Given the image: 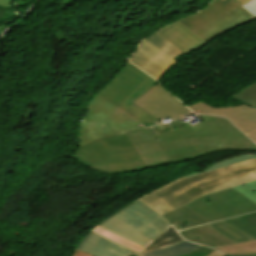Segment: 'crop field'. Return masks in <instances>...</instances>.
<instances>
[{"instance_id":"1","label":"crop field","mask_w":256,"mask_h":256,"mask_svg":"<svg viewBox=\"0 0 256 256\" xmlns=\"http://www.w3.org/2000/svg\"><path fill=\"white\" fill-rule=\"evenodd\" d=\"M200 116L203 121L193 127L186 124L157 136L152 130L137 129L105 137L78 148L72 158L101 172L121 173L224 149L256 147L226 119Z\"/></svg>"},{"instance_id":"2","label":"crop field","mask_w":256,"mask_h":256,"mask_svg":"<svg viewBox=\"0 0 256 256\" xmlns=\"http://www.w3.org/2000/svg\"><path fill=\"white\" fill-rule=\"evenodd\" d=\"M184 114L193 113L127 62L90 101L79 124L78 147L108 135L153 126V121L166 116L184 118Z\"/></svg>"},{"instance_id":"3","label":"crop field","mask_w":256,"mask_h":256,"mask_svg":"<svg viewBox=\"0 0 256 256\" xmlns=\"http://www.w3.org/2000/svg\"><path fill=\"white\" fill-rule=\"evenodd\" d=\"M252 180H256V159L187 179L183 177L138 200L162 215L204 194Z\"/></svg>"},{"instance_id":"4","label":"crop field","mask_w":256,"mask_h":256,"mask_svg":"<svg viewBox=\"0 0 256 256\" xmlns=\"http://www.w3.org/2000/svg\"><path fill=\"white\" fill-rule=\"evenodd\" d=\"M99 225L146 247L171 224L151 208L136 200Z\"/></svg>"},{"instance_id":"5","label":"crop field","mask_w":256,"mask_h":256,"mask_svg":"<svg viewBox=\"0 0 256 256\" xmlns=\"http://www.w3.org/2000/svg\"><path fill=\"white\" fill-rule=\"evenodd\" d=\"M256 19L233 0H213L202 11L180 20L206 42Z\"/></svg>"},{"instance_id":"6","label":"crop field","mask_w":256,"mask_h":256,"mask_svg":"<svg viewBox=\"0 0 256 256\" xmlns=\"http://www.w3.org/2000/svg\"><path fill=\"white\" fill-rule=\"evenodd\" d=\"M207 197L212 204L202 201ZM184 206L210 222L256 211V205L231 188L204 195Z\"/></svg>"},{"instance_id":"7","label":"crop field","mask_w":256,"mask_h":256,"mask_svg":"<svg viewBox=\"0 0 256 256\" xmlns=\"http://www.w3.org/2000/svg\"><path fill=\"white\" fill-rule=\"evenodd\" d=\"M195 114H210L228 118L239 130L256 142V109L244 104L213 108L199 101L188 106Z\"/></svg>"},{"instance_id":"8","label":"crop field","mask_w":256,"mask_h":256,"mask_svg":"<svg viewBox=\"0 0 256 256\" xmlns=\"http://www.w3.org/2000/svg\"><path fill=\"white\" fill-rule=\"evenodd\" d=\"M158 81L175 61L144 40L129 60Z\"/></svg>"},{"instance_id":"9","label":"crop field","mask_w":256,"mask_h":256,"mask_svg":"<svg viewBox=\"0 0 256 256\" xmlns=\"http://www.w3.org/2000/svg\"><path fill=\"white\" fill-rule=\"evenodd\" d=\"M184 54H187L206 42L179 21L155 32Z\"/></svg>"},{"instance_id":"10","label":"crop field","mask_w":256,"mask_h":256,"mask_svg":"<svg viewBox=\"0 0 256 256\" xmlns=\"http://www.w3.org/2000/svg\"><path fill=\"white\" fill-rule=\"evenodd\" d=\"M77 249L94 256H126L131 251L93 231Z\"/></svg>"},{"instance_id":"11","label":"crop field","mask_w":256,"mask_h":256,"mask_svg":"<svg viewBox=\"0 0 256 256\" xmlns=\"http://www.w3.org/2000/svg\"><path fill=\"white\" fill-rule=\"evenodd\" d=\"M179 233L185 239L210 247L232 243L205 225L182 230Z\"/></svg>"},{"instance_id":"12","label":"crop field","mask_w":256,"mask_h":256,"mask_svg":"<svg viewBox=\"0 0 256 256\" xmlns=\"http://www.w3.org/2000/svg\"><path fill=\"white\" fill-rule=\"evenodd\" d=\"M198 247L200 246L183 240L164 248L145 252L141 256H179L188 253Z\"/></svg>"},{"instance_id":"13","label":"crop field","mask_w":256,"mask_h":256,"mask_svg":"<svg viewBox=\"0 0 256 256\" xmlns=\"http://www.w3.org/2000/svg\"><path fill=\"white\" fill-rule=\"evenodd\" d=\"M223 221L256 239V212Z\"/></svg>"},{"instance_id":"14","label":"crop field","mask_w":256,"mask_h":256,"mask_svg":"<svg viewBox=\"0 0 256 256\" xmlns=\"http://www.w3.org/2000/svg\"><path fill=\"white\" fill-rule=\"evenodd\" d=\"M162 216L165 219H167L175 227L176 230H178V229H177L174 221L182 220V219H186V218H188L192 227L201 225V224H205V223H209L207 220L203 219L202 217L195 214L194 212H192L191 210L187 209L184 206L177 210H174L172 212L166 213Z\"/></svg>"},{"instance_id":"15","label":"crop field","mask_w":256,"mask_h":256,"mask_svg":"<svg viewBox=\"0 0 256 256\" xmlns=\"http://www.w3.org/2000/svg\"><path fill=\"white\" fill-rule=\"evenodd\" d=\"M208 227L212 228L216 232L220 233L227 239L231 240L234 243L253 241L251 237L244 234L243 232L233 228L232 226L220 221L212 224H207Z\"/></svg>"},{"instance_id":"16","label":"crop field","mask_w":256,"mask_h":256,"mask_svg":"<svg viewBox=\"0 0 256 256\" xmlns=\"http://www.w3.org/2000/svg\"><path fill=\"white\" fill-rule=\"evenodd\" d=\"M180 240H183V239L178 235V233L172 227H169L167 230L161 233L159 237L156 240H154L145 251L164 247L169 244L178 242Z\"/></svg>"},{"instance_id":"17","label":"crop field","mask_w":256,"mask_h":256,"mask_svg":"<svg viewBox=\"0 0 256 256\" xmlns=\"http://www.w3.org/2000/svg\"><path fill=\"white\" fill-rule=\"evenodd\" d=\"M224 254L256 253V241L214 247Z\"/></svg>"},{"instance_id":"18","label":"crop field","mask_w":256,"mask_h":256,"mask_svg":"<svg viewBox=\"0 0 256 256\" xmlns=\"http://www.w3.org/2000/svg\"><path fill=\"white\" fill-rule=\"evenodd\" d=\"M93 231H95V232H97V233H99V234H101V235H103V236H105V237H107V238H109V239H111V240L129 248V249H131V250L142 252L143 249H144V247H141V246H139V245H137L133 242H130V241H128V240H126V239H124V238H122V237H120V236H118V235L100 227V226L95 227L93 229Z\"/></svg>"},{"instance_id":"19","label":"crop field","mask_w":256,"mask_h":256,"mask_svg":"<svg viewBox=\"0 0 256 256\" xmlns=\"http://www.w3.org/2000/svg\"><path fill=\"white\" fill-rule=\"evenodd\" d=\"M145 39L148 40L151 44H153L154 46H156L157 48H159L160 50H162L164 53H166L167 55H169L172 58L179 54L181 56L183 55V53H181L179 50L174 48L172 45H170L168 42L163 40L161 37H159L155 33L146 37Z\"/></svg>"},{"instance_id":"20","label":"crop field","mask_w":256,"mask_h":256,"mask_svg":"<svg viewBox=\"0 0 256 256\" xmlns=\"http://www.w3.org/2000/svg\"><path fill=\"white\" fill-rule=\"evenodd\" d=\"M232 96L244 104L256 108V83Z\"/></svg>"},{"instance_id":"21","label":"crop field","mask_w":256,"mask_h":256,"mask_svg":"<svg viewBox=\"0 0 256 256\" xmlns=\"http://www.w3.org/2000/svg\"><path fill=\"white\" fill-rule=\"evenodd\" d=\"M252 158H256V155H240V156L232 157V158H230L228 160L218 162V163L208 167L207 169H205L202 172H198V173H194V174H191V175H187L186 178L189 177V176H192V175H196V174L203 173V172H206V171H210V170L226 167V166H229V165H232V164H236V163H239V162H242V161H246V160H249V159H252Z\"/></svg>"},{"instance_id":"22","label":"crop field","mask_w":256,"mask_h":256,"mask_svg":"<svg viewBox=\"0 0 256 256\" xmlns=\"http://www.w3.org/2000/svg\"><path fill=\"white\" fill-rule=\"evenodd\" d=\"M232 188L256 204V181L248 182Z\"/></svg>"},{"instance_id":"23","label":"crop field","mask_w":256,"mask_h":256,"mask_svg":"<svg viewBox=\"0 0 256 256\" xmlns=\"http://www.w3.org/2000/svg\"><path fill=\"white\" fill-rule=\"evenodd\" d=\"M213 251H215V250L203 246V247H201V248H199V249H197L195 251H192V252H190L188 254H185L183 256H206V255L210 254Z\"/></svg>"},{"instance_id":"24","label":"crop field","mask_w":256,"mask_h":256,"mask_svg":"<svg viewBox=\"0 0 256 256\" xmlns=\"http://www.w3.org/2000/svg\"><path fill=\"white\" fill-rule=\"evenodd\" d=\"M242 7L256 17V0L250 1Z\"/></svg>"},{"instance_id":"25","label":"crop field","mask_w":256,"mask_h":256,"mask_svg":"<svg viewBox=\"0 0 256 256\" xmlns=\"http://www.w3.org/2000/svg\"><path fill=\"white\" fill-rule=\"evenodd\" d=\"M13 0H0V5L5 6V7H11V2Z\"/></svg>"},{"instance_id":"26","label":"crop field","mask_w":256,"mask_h":256,"mask_svg":"<svg viewBox=\"0 0 256 256\" xmlns=\"http://www.w3.org/2000/svg\"><path fill=\"white\" fill-rule=\"evenodd\" d=\"M73 256H91V255L81 252L79 250H76Z\"/></svg>"},{"instance_id":"27","label":"crop field","mask_w":256,"mask_h":256,"mask_svg":"<svg viewBox=\"0 0 256 256\" xmlns=\"http://www.w3.org/2000/svg\"><path fill=\"white\" fill-rule=\"evenodd\" d=\"M208 256H224V255L222 253L218 252V251H215V252L211 253Z\"/></svg>"},{"instance_id":"28","label":"crop field","mask_w":256,"mask_h":256,"mask_svg":"<svg viewBox=\"0 0 256 256\" xmlns=\"http://www.w3.org/2000/svg\"><path fill=\"white\" fill-rule=\"evenodd\" d=\"M234 1H236L238 4H240L242 6L250 0H234Z\"/></svg>"},{"instance_id":"29","label":"crop field","mask_w":256,"mask_h":256,"mask_svg":"<svg viewBox=\"0 0 256 256\" xmlns=\"http://www.w3.org/2000/svg\"><path fill=\"white\" fill-rule=\"evenodd\" d=\"M226 256H256V254H244V255H226Z\"/></svg>"},{"instance_id":"30","label":"crop field","mask_w":256,"mask_h":256,"mask_svg":"<svg viewBox=\"0 0 256 256\" xmlns=\"http://www.w3.org/2000/svg\"><path fill=\"white\" fill-rule=\"evenodd\" d=\"M141 254H138L136 252H132L129 256H140Z\"/></svg>"}]
</instances>
